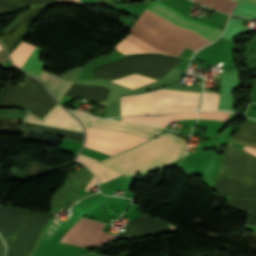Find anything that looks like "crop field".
Listing matches in <instances>:
<instances>
[{"label": "crop field", "instance_id": "obj_1", "mask_svg": "<svg viewBox=\"0 0 256 256\" xmlns=\"http://www.w3.org/2000/svg\"><path fill=\"white\" fill-rule=\"evenodd\" d=\"M230 140L256 147V125L246 123ZM215 191L233 198L256 199V158L229 144L220 165ZM229 206L250 212L247 225L256 226V201L230 198Z\"/></svg>", "mask_w": 256, "mask_h": 256}, {"label": "crop field", "instance_id": "obj_2", "mask_svg": "<svg viewBox=\"0 0 256 256\" xmlns=\"http://www.w3.org/2000/svg\"><path fill=\"white\" fill-rule=\"evenodd\" d=\"M185 148L184 140L166 131L130 151L100 162L130 176L181 158Z\"/></svg>", "mask_w": 256, "mask_h": 256}, {"label": "crop field", "instance_id": "obj_3", "mask_svg": "<svg viewBox=\"0 0 256 256\" xmlns=\"http://www.w3.org/2000/svg\"><path fill=\"white\" fill-rule=\"evenodd\" d=\"M131 33L150 45L177 56L185 46L196 51L210 43L196 32L174 25L147 10L141 15Z\"/></svg>", "mask_w": 256, "mask_h": 256}, {"label": "crop field", "instance_id": "obj_4", "mask_svg": "<svg viewBox=\"0 0 256 256\" xmlns=\"http://www.w3.org/2000/svg\"><path fill=\"white\" fill-rule=\"evenodd\" d=\"M198 98L196 92L169 89L121 97V115L196 110Z\"/></svg>", "mask_w": 256, "mask_h": 256}, {"label": "crop field", "instance_id": "obj_5", "mask_svg": "<svg viewBox=\"0 0 256 256\" xmlns=\"http://www.w3.org/2000/svg\"><path fill=\"white\" fill-rule=\"evenodd\" d=\"M56 104L43 86L28 75L21 84L6 86L0 98V107H19L41 119Z\"/></svg>", "mask_w": 256, "mask_h": 256}, {"label": "crop field", "instance_id": "obj_6", "mask_svg": "<svg viewBox=\"0 0 256 256\" xmlns=\"http://www.w3.org/2000/svg\"><path fill=\"white\" fill-rule=\"evenodd\" d=\"M86 130L85 147L111 156L148 140L139 136L106 129L86 128Z\"/></svg>", "mask_w": 256, "mask_h": 256}, {"label": "crop field", "instance_id": "obj_7", "mask_svg": "<svg viewBox=\"0 0 256 256\" xmlns=\"http://www.w3.org/2000/svg\"><path fill=\"white\" fill-rule=\"evenodd\" d=\"M104 223L80 218L62 237L61 243L83 248L104 245L113 240V234L101 232Z\"/></svg>", "mask_w": 256, "mask_h": 256}, {"label": "crop field", "instance_id": "obj_8", "mask_svg": "<svg viewBox=\"0 0 256 256\" xmlns=\"http://www.w3.org/2000/svg\"><path fill=\"white\" fill-rule=\"evenodd\" d=\"M42 52L43 49L37 47V49L34 51V53L31 55V57L28 59L25 65L22 67V70L27 71L38 78V76L46 66V63L37 60ZM38 79L46 85L48 90L58 101H60L65 92L73 83V81L61 79L45 70H43Z\"/></svg>", "mask_w": 256, "mask_h": 256}, {"label": "crop field", "instance_id": "obj_9", "mask_svg": "<svg viewBox=\"0 0 256 256\" xmlns=\"http://www.w3.org/2000/svg\"><path fill=\"white\" fill-rule=\"evenodd\" d=\"M75 116H77L84 127H100L106 129H113L128 132L131 134L152 138L158 135L163 128L145 125V124H129V123H122L113 120H104V119H97L92 117L88 114L79 112V111H70Z\"/></svg>", "mask_w": 256, "mask_h": 256}, {"label": "crop field", "instance_id": "obj_10", "mask_svg": "<svg viewBox=\"0 0 256 256\" xmlns=\"http://www.w3.org/2000/svg\"><path fill=\"white\" fill-rule=\"evenodd\" d=\"M147 9L158 15L163 16L164 18L168 19L174 24H177L198 32L200 35L208 39L210 42H212L215 38H217L221 33V31L209 25H206L204 23L187 18L157 1L151 2V4Z\"/></svg>", "mask_w": 256, "mask_h": 256}, {"label": "crop field", "instance_id": "obj_11", "mask_svg": "<svg viewBox=\"0 0 256 256\" xmlns=\"http://www.w3.org/2000/svg\"><path fill=\"white\" fill-rule=\"evenodd\" d=\"M45 6H38L27 12L0 40L4 43L9 55L22 42L26 35L29 23L40 13Z\"/></svg>", "mask_w": 256, "mask_h": 256}, {"label": "crop field", "instance_id": "obj_12", "mask_svg": "<svg viewBox=\"0 0 256 256\" xmlns=\"http://www.w3.org/2000/svg\"><path fill=\"white\" fill-rule=\"evenodd\" d=\"M24 121L83 132L80 124L58 104L42 120L30 113H27Z\"/></svg>", "mask_w": 256, "mask_h": 256}, {"label": "crop field", "instance_id": "obj_13", "mask_svg": "<svg viewBox=\"0 0 256 256\" xmlns=\"http://www.w3.org/2000/svg\"><path fill=\"white\" fill-rule=\"evenodd\" d=\"M172 230H175L171 227ZM169 225H166L153 218L142 219L141 217L134 219L131 223L125 226L126 233L119 234L118 238L149 235L171 230Z\"/></svg>", "mask_w": 256, "mask_h": 256}, {"label": "crop field", "instance_id": "obj_14", "mask_svg": "<svg viewBox=\"0 0 256 256\" xmlns=\"http://www.w3.org/2000/svg\"><path fill=\"white\" fill-rule=\"evenodd\" d=\"M191 118H196V113L186 112V113L170 114V115H162V116H130V117H122V120L129 121V122L152 123V124L165 127L171 121L191 119Z\"/></svg>", "mask_w": 256, "mask_h": 256}, {"label": "crop field", "instance_id": "obj_15", "mask_svg": "<svg viewBox=\"0 0 256 256\" xmlns=\"http://www.w3.org/2000/svg\"><path fill=\"white\" fill-rule=\"evenodd\" d=\"M76 162L85 164L87 167L94 172V174L100 179V184L117 178L123 174L97 162V160L92 159L90 157L79 154Z\"/></svg>", "mask_w": 256, "mask_h": 256}, {"label": "crop field", "instance_id": "obj_16", "mask_svg": "<svg viewBox=\"0 0 256 256\" xmlns=\"http://www.w3.org/2000/svg\"><path fill=\"white\" fill-rule=\"evenodd\" d=\"M35 49V46L23 41L17 49L10 55L13 63L21 69L30 54Z\"/></svg>", "mask_w": 256, "mask_h": 256}, {"label": "crop field", "instance_id": "obj_17", "mask_svg": "<svg viewBox=\"0 0 256 256\" xmlns=\"http://www.w3.org/2000/svg\"><path fill=\"white\" fill-rule=\"evenodd\" d=\"M25 128L40 131V132H45V133H49V134L61 136L64 138L77 140V141H82L83 139L82 133L68 132V131L48 128V127H43V126H38L33 124H27V123H25Z\"/></svg>", "mask_w": 256, "mask_h": 256}, {"label": "crop field", "instance_id": "obj_18", "mask_svg": "<svg viewBox=\"0 0 256 256\" xmlns=\"http://www.w3.org/2000/svg\"><path fill=\"white\" fill-rule=\"evenodd\" d=\"M152 81H155V80L144 77V76H141L139 74H133V75H130V76H127L125 78L118 79V80H115V81H112V82L121 84L123 86L129 87V88H132V89H135L137 87H140V86L145 85L147 83H150Z\"/></svg>", "mask_w": 256, "mask_h": 256}, {"label": "crop field", "instance_id": "obj_19", "mask_svg": "<svg viewBox=\"0 0 256 256\" xmlns=\"http://www.w3.org/2000/svg\"><path fill=\"white\" fill-rule=\"evenodd\" d=\"M204 5L220 10L222 12L231 13L237 3L230 0H196Z\"/></svg>", "mask_w": 256, "mask_h": 256}, {"label": "crop field", "instance_id": "obj_20", "mask_svg": "<svg viewBox=\"0 0 256 256\" xmlns=\"http://www.w3.org/2000/svg\"><path fill=\"white\" fill-rule=\"evenodd\" d=\"M220 95L217 93L204 92L202 110L217 109Z\"/></svg>", "mask_w": 256, "mask_h": 256}, {"label": "crop field", "instance_id": "obj_21", "mask_svg": "<svg viewBox=\"0 0 256 256\" xmlns=\"http://www.w3.org/2000/svg\"><path fill=\"white\" fill-rule=\"evenodd\" d=\"M228 112H198V119L228 120Z\"/></svg>", "mask_w": 256, "mask_h": 256}, {"label": "crop field", "instance_id": "obj_22", "mask_svg": "<svg viewBox=\"0 0 256 256\" xmlns=\"http://www.w3.org/2000/svg\"><path fill=\"white\" fill-rule=\"evenodd\" d=\"M115 49L119 50L120 52L124 53V54H132V53H141L144 52L138 48H136L135 46H133L132 44H130L128 41L124 40L120 45H118L117 47H115Z\"/></svg>", "mask_w": 256, "mask_h": 256}, {"label": "crop field", "instance_id": "obj_23", "mask_svg": "<svg viewBox=\"0 0 256 256\" xmlns=\"http://www.w3.org/2000/svg\"><path fill=\"white\" fill-rule=\"evenodd\" d=\"M0 6L8 8V9L13 10V11L17 10L20 7V5L15 4V3L11 2V1H8V0H0Z\"/></svg>", "mask_w": 256, "mask_h": 256}, {"label": "crop field", "instance_id": "obj_24", "mask_svg": "<svg viewBox=\"0 0 256 256\" xmlns=\"http://www.w3.org/2000/svg\"><path fill=\"white\" fill-rule=\"evenodd\" d=\"M96 184H97V179L93 175L92 179L90 180V182L88 183L87 187L85 188V191L88 192Z\"/></svg>", "mask_w": 256, "mask_h": 256}, {"label": "crop field", "instance_id": "obj_25", "mask_svg": "<svg viewBox=\"0 0 256 256\" xmlns=\"http://www.w3.org/2000/svg\"><path fill=\"white\" fill-rule=\"evenodd\" d=\"M79 0H54L52 4L54 3H78Z\"/></svg>", "mask_w": 256, "mask_h": 256}, {"label": "crop field", "instance_id": "obj_26", "mask_svg": "<svg viewBox=\"0 0 256 256\" xmlns=\"http://www.w3.org/2000/svg\"><path fill=\"white\" fill-rule=\"evenodd\" d=\"M243 150L253 154L254 156H256V148H251V147H247V146H244Z\"/></svg>", "mask_w": 256, "mask_h": 256}, {"label": "crop field", "instance_id": "obj_27", "mask_svg": "<svg viewBox=\"0 0 256 256\" xmlns=\"http://www.w3.org/2000/svg\"><path fill=\"white\" fill-rule=\"evenodd\" d=\"M232 1H235V2H240V0H232ZM243 1H249V2H256V0H243Z\"/></svg>", "mask_w": 256, "mask_h": 256}, {"label": "crop field", "instance_id": "obj_28", "mask_svg": "<svg viewBox=\"0 0 256 256\" xmlns=\"http://www.w3.org/2000/svg\"><path fill=\"white\" fill-rule=\"evenodd\" d=\"M0 256H2V243H1V240H0Z\"/></svg>", "mask_w": 256, "mask_h": 256}, {"label": "crop field", "instance_id": "obj_29", "mask_svg": "<svg viewBox=\"0 0 256 256\" xmlns=\"http://www.w3.org/2000/svg\"><path fill=\"white\" fill-rule=\"evenodd\" d=\"M0 49H1V46H0Z\"/></svg>", "mask_w": 256, "mask_h": 256}]
</instances>
